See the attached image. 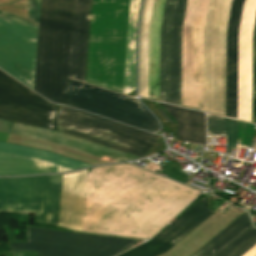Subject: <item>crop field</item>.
I'll list each match as a JSON object with an SVG mask.
<instances>
[{
    "label": "crop field",
    "mask_w": 256,
    "mask_h": 256,
    "mask_svg": "<svg viewBox=\"0 0 256 256\" xmlns=\"http://www.w3.org/2000/svg\"><path fill=\"white\" fill-rule=\"evenodd\" d=\"M74 0H41L34 90L65 104Z\"/></svg>",
    "instance_id": "obj_1"
},
{
    "label": "crop field",
    "mask_w": 256,
    "mask_h": 256,
    "mask_svg": "<svg viewBox=\"0 0 256 256\" xmlns=\"http://www.w3.org/2000/svg\"><path fill=\"white\" fill-rule=\"evenodd\" d=\"M186 0H154L150 26L148 98L179 105L181 28Z\"/></svg>",
    "instance_id": "obj_2"
},
{
    "label": "crop field",
    "mask_w": 256,
    "mask_h": 256,
    "mask_svg": "<svg viewBox=\"0 0 256 256\" xmlns=\"http://www.w3.org/2000/svg\"><path fill=\"white\" fill-rule=\"evenodd\" d=\"M58 131L143 157L159 136L68 107H59Z\"/></svg>",
    "instance_id": "obj_3"
},
{
    "label": "crop field",
    "mask_w": 256,
    "mask_h": 256,
    "mask_svg": "<svg viewBox=\"0 0 256 256\" xmlns=\"http://www.w3.org/2000/svg\"><path fill=\"white\" fill-rule=\"evenodd\" d=\"M232 0H210L204 29L203 110L224 116L226 29Z\"/></svg>",
    "instance_id": "obj_4"
},
{
    "label": "crop field",
    "mask_w": 256,
    "mask_h": 256,
    "mask_svg": "<svg viewBox=\"0 0 256 256\" xmlns=\"http://www.w3.org/2000/svg\"><path fill=\"white\" fill-rule=\"evenodd\" d=\"M59 175L0 178V211H36L35 219L56 225Z\"/></svg>",
    "instance_id": "obj_5"
},
{
    "label": "crop field",
    "mask_w": 256,
    "mask_h": 256,
    "mask_svg": "<svg viewBox=\"0 0 256 256\" xmlns=\"http://www.w3.org/2000/svg\"><path fill=\"white\" fill-rule=\"evenodd\" d=\"M27 242L10 244L11 251H37L38 256H115L114 250L133 240L26 227Z\"/></svg>",
    "instance_id": "obj_6"
},
{
    "label": "crop field",
    "mask_w": 256,
    "mask_h": 256,
    "mask_svg": "<svg viewBox=\"0 0 256 256\" xmlns=\"http://www.w3.org/2000/svg\"><path fill=\"white\" fill-rule=\"evenodd\" d=\"M66 105L150 132L159 129L153 116L137 100L70 79Z\"/></svg>",
    "instance_id": "obj_7"
},
{
    "label": "crop field",
    "mask_w": 256,
    "mask_h": 256,
    "mask_svg": "<svg viewBox=\"0 0 256 256\" xmlns=\"http://www.w3.org/2000/svg\"><path fill=\"white\" fill-rule=\"evenodd\" d=\"M58 106L0 71V119L56 130Z\"/></svg>",
    "instance_id": "obj_8"
},
{
    "label": "crop field",
    "mask_w": 256,
    "mask_h": 256,
    "mask_svg": "<svg viewBox=\"0 0 256 256\" xmlns=\"http://www.w3.org/2000/svg\"><path fill=\"white\" fill-rule=\"evenodd\" d=\"M38 27L0 19V68L33 89Z\"/></svg>",
    "instance_id": "obj_9"
},
{
    "label": "crop field",
    "mask_w": 256,
    "mask_h": 256,
    "mask_svg": "<svg viewBox=\"0 0 256 256\" xmlns=\"http://www.w3.org/2000/svg\"><path fill=\"white\" fill-rule=\"evenodd\" d=\"M214 212L203 198L151 241L120 256H157L175 245Z\"/></svg>",
    "instance_id": "obj_10"
},
{
    "label": "crop field",
    "mask_w": 256,
    "mask_h": 256,
    "mask_svg": "<svg viewBox=\"0 0 256 256\" xmlns=\"http://www.w3.org/2000/svg\"><path fill=\"white\" fill-rule=\"evenodd\" d=\"M12 124L0 120V131L9 133ZM10 133L53 142L88 154L95 156L99 154L119 161L141 158L54 130L14 123Z\"/></svg>",
    "instance_id": "obj_11"
},
{
    "label": "crop field",
    "mask_w": 256,
    "mask_h": 256,
    "mask_svg": "<svg viewBox=\"0 0 256 256\" xmlns=\"http://www.w3.org/2000/svg\"><path fill=\"white\" fill-rule=\"evenodd\" d=\"M251 226L245 212L192 256H214ZM256 244V229L248 228L216 256H242Z\"/></svg>",
    "instance_id": "obj_12"
},
{
    "label": "crop field",
    "mask_w": 256,
    "mask_h": 256,
    "mask_svg": "<svg viewBox=\"0 0 256 256\" xmlns=\"http://www.w3.org/2000/svg\"><path fill=\"white\" fill-rule=\"evenodd\" d=\"M86 169L63 174L58 225L81 231Z\"/></svg>",
    "instance_id": "obj_13"
},
{
    "label": "crop field",
    "mask_w": 256,
    "mask_h": 256,
    "mask_svg": "<svg viewBox=\"0 0 256 256\" xmlns=\"http://www.w3.org/2000/svg\"><path fill=\"white\" fill-rule=\"evenodd\" d=\"M245 0H234L228 29L226 116L237 118L238 31Z\"/></svg>",
    "instance_id": "obj_14"
},
{
    "label": "crop field",
    "mask_w": 256,
    "mask_h": 256,
    "mask_svg": "<svg viewBox=\"0 0 256 256\" xmlns=\"http://www.w3.org/2000/svg\"><path fill=\"white\" fill-rule=\"evenodd\" d=\"M91 0H75L69 76L84 81Z\"/></svg>",
    "instance_id": "obj_15"
},
{
    "label": "crop field",
    "mask_w": 256,
    "mask_h": 256,
    "mask_svg": "<svg viewBox=\"0 0 256 256\" xmlns=\"http://www.w3.org/2000/svg\"><path fill=\"white\" fill-rule=\"evenodd\" d=\"M178 122V138L206 145L205 114L160 103Z\"/></svg>",
    "instance_id": "obj_16"
},
{
    "label": "crop field",
    "mask_w": 256,
    "mask_h": 256,
    "mask_svg": "<svg viewBox=\"0 0 256 256\" xmlns=\"http://www.w3.org/2000/svg\"><path fill=\"white\" fill-rule=\"evenodd\" d=\"M72 169L38 159L0 152V175H23L34 173L63 172Z\"/></svg>",
    "instance_id": "obj_17"
},
{
    "label": "crop field",
    "mask_w": 256,
    "mask_h": 256,
    "mask_svg": "<svg viewBox=\"0 0 256 256\" xmlns=\"http://www.w3.org/2000/svg\"><path fill=\"white\" fill-rule=\"evenodd\" d=\"M139 8L140 0H130L125 75L123 87V93L125 94L135 89V41Z\"/></svg>",
    "instance_id": "obj_18"
},
{
    "label": "crop field",
    "mask_w": 256,
    "mask_h": 256,
    "mask_svg": "<svg viewBox=\"0 0 256 256\" xmlns=\"http://www.w3.org/2000/svg\"><path fill=\"white\" fill-rule=\"evenodd\" d=\"M153 0H145L139 42L140 82L139 95L147 98L149 26Z\"/></svg>",
    "instance_id": "obj_19"
},
{
    "label": "crop field",
    "mask_w": 256,
    "mask_h": 256,
    "mask_svg": "<svg viewBox=\"0 0 256 256\" xmlns=\"http://www.w3.org/2000/svg\"><path fill=\"white\" fill-rule=\"evenodd\" d=\"M0 151L42 159V160L49 161V162L59 164L65 167H69L72 169L90 166L88 164L78 162V161H75L60 155H56L47 151L32 149V148H27L22 146H16L11 144L1 143V142H0Z\"/></svg>",
    "instance_id": "obj_20"
},
{
    "label": "crop field",
    "mask_w": 256,
    "mask_h": 256,
    "mask_svg": "<svg viewBox=\"0 0 256 256\" xmlns=\"http://www.w3.org/2000/svg\"><path fill=\"white\" fill-rule=\"evenodd\" d=\"M40 0H29L28 19L7 12H0V18L38 26Z\"/></svg>",
    "instance_id": "obj_21"
},
{
    "label": "crop field",
    "mask_w": 256,
    "mask_h": 256,
    "mask_svg": "<svg viewBox=\"0 0 256 256\" xmlns=\"http://www.w3.org/2000/svg\"><path fill=\"white\" fill-rule=\"evenodd\" d=\"M252 122L256 123V19L253 31Z\"/></svg>",
    "instance_id": "obj_22"
},
{
    "label": "crop field",
    "mask_w": 256,
    "mask_h": 256,
    "mask_svg": "<svg viewBox=\"0 0 256 256\" xmlns=\"http://www.w3.org/2000/svg\"><path fill=\"white\" fill-rule=\"evenodd\" d=\"M208 134L225 135V118L207 114Z\"/></svg>",
    "instance_id": "obj_23"
},
{
    "label": "crop field",
    "mask_w": 256,
    "mask_h": 256,
    "mask_svg": "<svg viewBox=\"0 0 256 256\" xmlns=\"http://www.w3.org/2000/svg\"><path fill=\"white\" fill-rule=\"evenodd\" d=\"M238 121L226 118L227 128V152L230 153V147L235 148Z\"/></svg>",
    "instance_id": "obj_24"
}]
</instances>
